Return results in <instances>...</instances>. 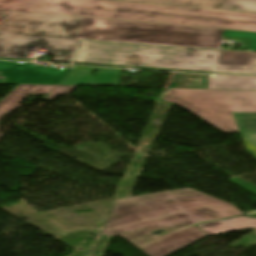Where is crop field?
Here are the masks:
<instances>
[{
  "instance_id": "crop-field-1",
  "label": "crop field",
  "mask_w": 256,
  "mask_h": 256,
  "mask_svg": "<svg viewBox=\"0 0 256 256\" xmlns=\"http://www.w3.org/2000/svg\"><path fill=\"white\" fill-rule=\"evenodd\" d=\"M102 234L124 237L150 256H166L204 236L192 225L153 237L148 231L181 227L242 215L231 203L192 188L164 191L116 200Z\"/></svg>"
},
{
  "instance_id": "crop-field-2",
  "label": "crop field",
  "mask_w": 256,
  "mask_h": 256,
  "mask_svg": "<svg viewBox=\"0 0 256 256\" xmlns=\"http://www.w3.org/2000/svg\"><path fill=\"white\" fill-rule=\"evenodd\" d=\"M0 33L212 48L219 47L221 36H232L251 38L248 50L256 51V33L251 32L3 10Z\"/></svg>"
},
{
  "instance_id": "crop-field-3",
  "label": "crop field",
  "mask_w": 256,
  "mask_h": 256,
  "mask_svg": "<svg viewBox=\"0 0 256 256\" xmlns=\"http://www.w3.org/2000/svg\"><path fill=\"white\" fill-rule=\"evenodd\" d=\"M0 9L256 32V14L112 0H0Z\"/></svg>"
},
{
  "instance_id": "crop-field-4",
  "label": "crop field",
  "mask_w": 256,
  "mask_h": 256,
  "mask_svg": "<svg viewBox=\"0 0 256 256\" xmlns=\"http://www.w3.org/2000/svg\"><path fill=\"white\" fill-rule=\"evenodd\" d=\"M80 40L74 62L256 75V52Z\"/></svg>"
},
{
  "instance_id": "crop-field-5",
  "label": "crop field",
  "mask_w": 256,
  "mask_h": 256,
  "mask_svg": "<svg viewBox=\"0 0 256 256\" xmlns=\"http://www.w3.org/2000/svg\"><path fill=\"white\" fill-rule=\"evenodd\" d=\"M162 100L181 106L225 133L239 132L232 112H256V91L167 89Z\"/></svg>"
},
{
  "instance_id": "crop-field-6",
  "label": "crop field",
  "mask_w": 256,
  "mask_h": 256,
  "mask_svg": "<svg viewBox=\"0 0 256 256\" xmlns=\"http://www.w3.org/2000/svg\"><path fill=\"white\" fill-rule=\"evenodd\" d=\"M77 40L0 34V57L26 59L27 46L47 49L51 60L72 62Z\"/></svg>"
},
{
  "instance_id": "crop-field-7",
  "label": "crop field",
  "mask_w": 256,
  "mask_h": 256,
  "mask_svg": "<svg viewBox=\"0 0 256 256\" xmlns=\"http://www.w3.org/2000/svg\"><path fill=\"white\" fill-rule=\"evenodd\" d=\"M75 66L53 64L41 67L33 63L0 61L1 75L5 83L59 85Z\"/></svg>"
},
{
  "instance_id": "crop-field-8",
  "label": "crop field",
  "mask_w": 256,
  "mask_h": 256,
  "mask_svg": "<svg viewBox=\"0 0 256 256\" xmlns=\"http://www.w3.org/2000/svg\"><path fill=\"white\" fill-rule=\"evenodd\" d=\"M98 70L96 77L90 74ZM120 70L76 66L60 85L119 86Z\"/></svg>"
},
{
  "instance_id": "crop-field-9",
  "label": "crop field",
  "mask_w": 256,
  "mask_h": 256,
  "mask_svg": "<svg viewBox=\"0 0 256 256\" xmlns=\"http://www.w3.org/2000/svg\"><path fill=\"white\" fill-rule=\"evenodd\" d=\"M76 87L19 85L0 102V119L11 111L28 93L50 94L45 99L52 100L57 95L71 93Z\"/></svg>"
},
{
  "instance_id": "crop-field-10",
  "label": "crop field",
  "mask_w": 256,
  "mask_h": 256,
  "mask_svg": "<svg viewBox=\"0 0 256 256\" xmlns=\"http://www.w3.org/2000/svg\"><path fill=\"white\" fill-rule=\"evenodd\" d=\"M202 231L207 235L237 231L253 227L256 231V218L239 217L233 219H227L222 221H216L211 223L199 224Z\"/></svg>"
},
{
  "instance_id": "crop-field-11",
  "label": "crop field",
  "mask_w": 256,
  "mask_h": 256,
  "mask_svg": "<svg viewBox=\"0 0 256 256\" xmlns=\"http://www.w3.org/2000/svg\"><path fill=\"white\" fill-rule=\"evenodd\" d=\"M207 89L256 90V77L210 75Z\"/></svg>"
},
{
  "instance_id": "crop-field-12",
  "label": "crop field",
  "mask_w": 256,
  "mask_h": 256,
  "mask_svg": "<svg viewBox=\"0 0 256 256\" xmlns=\"http://www.w3.org/2000/svg\"><path fill=\"white\" fill-rule=\"evenodd\" d=\"M243 142L256 158V118L235 119Z\"/></svg>"
},
{
  "instance_id": "crop-field-13",
  "label": "crop field",
  "mask_w": 256,
  "mask_h": 256,
  "mask_svg": "<svg viewBox=\"0 0 256 256\" xmlns=\"http://www.w3.org/2000/svg\"><path fill=\"white\" fill-rule=\"evenodd\" d=\"M125 1L220 9L224 0H125Z\"/></svg>"
},
{
  "instance_id": "crop-field-14",
  "label": "crop field",
  "mask_w": 256,
  "mask_h": 256,
  "mask_svg": "<svg viewBox=\"0 0 256 256\" xmlns=\"http://www.w3.org/2000/svg\"><path fill=\"white\" fill-rule=\"evenodd\" d=\"M234 6L236 11L256 12V0H225L221 9L232 10Z\"/></svg>"
},
{
  "instance_id": "crop-field-15",
  "label": "crop field",
  "mask_w": 256,
  "mask_h": 256,
  "mask_svg": "<svg viewBox=\"0 0 256 256\" xmlns=\"http://www.w3.org/2000/svg\"><path fill=\"white\" fill-rule=\"evenodd\" d=\"M230 181L232 183H234V184H236V185H238V186H240V187H242V188H244V189H246V190H248V191H250V192H252L253 194L256 195V187H254L251 184L243 181L242 179L232 178V179H230Z\"/></svg>"
},
{
  "instance_id": "crop-field-16",
  "label": "crop field",
  "mask_w": 256,
  "mask_h": 256,
  "mask_svg": "<svg viewBox=\"0 0 256 256\" xmlns=\"http://www.w3.org/2000/svg\"><path fill=\"white\" fill-rule=\"evenodd\" d=\"M235 118L256 117V113H233Z\"/></svg>"
},
{
  "instance_id": "crop-field-17",
  "label": "crop field",
  "mask_w": 256,
  "mask_h": 256,
  "mask_svg": "<svg viewBox=\"0 0 256 256\" xmlns=\"http://www.w3.org/2000/svg\"><path fill=\"white\" fill-rule=\"evenodd\" d=\"M182 75H183V74L175 73V75H174V77H173V79H172L171 82H172V83H178Z\"/></svg>"
},
{
  "instance_id": "crop-field-18",
  "label": "crop field",
  "mask_w": 256,
  "mask_h": 256,
  "mask_svg": "<svg viewBox=\"0 0 256 256\" xmlns=\"http://www.w3.org/2000/svg\"><path fill=\"white\" fill-rule=\"evenodd\" d=\"M0 83H4V77L0 76Z\"/></svg>"
}]
</instances>
